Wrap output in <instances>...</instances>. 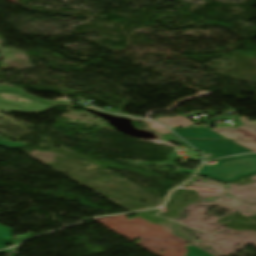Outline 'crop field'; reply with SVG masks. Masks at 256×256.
<instances>
[{
  "label": "crop field",
  "instance_id": "crop-field-1",
  "mask_svg": "<svg viewBox=\"0 0 256 256\" xmlns=\"http://www.w3.org/2000/svg\"><path fill=\"white\" fill-rule=\"evenodd\" d=\"M199 174L220 180L236 181L256 174V155H244L218 160L214 166L204 165Z\"/></svg>",
  "mask_w": 256,
  "mask_h": 256
},
{
  "label": "crop field",
  "instance_id": "crop-field-2",
  "mask_svg": "<svg viewBox=\"0 0 256 256\" xmlns=\"http://www.w3.org/2000/svg\"><path fill=\"white\" fill-rule=\"evenodd\" d=\"M186 141L194 145L199 150H203L208 153L210 152L213 153L212 158L226 157V156H230L238 153H244V152H253L233 141H214V140H186Z\"/></svg>",
  "mask_w": 256,
  "mask_h": 256
},
{
  "label": "crop field",
  "instance_id": "crop-field-3",
  "mask_svg": "<svg viewBox=\"0 0 256 256\" xmlns=\"http://www.w3.org/2000/svg\"><path fill=\"white\" fill-rule=\"evenodd\" d=\"M240 119L245 124L244 126H239L237 129L218 128L212 131L228 139L256 141V122H249L246 117Z\"/></svg>",
  "mask_w": 256,
  "mask_h": 256
},
{
  "label": "crop field",
  "instance_id": "crop-field-4",
  "mask_svg": "<svg viewBox=\"0 0 256 256\" xmlns=\"http://www.w3.org/2000/svg\"><path fill=\"white\" fill-rule=\"evenodd\" d=\"M0 94H8V93H0ZM10 95L23 97V96L17 95V94H10ZM53 108H55V107H49V106L40 104L35 101H34V103L25 104V103H17V102H13V101H8V100H4V99L0 98V109L9 111V112L40 114L43 112H47Z\"/></svg>",
  "mask_w": 256,
  "mask_h": 256
},
{
  "label": "crop field",
  "instance_id": "crop-field-5",
  "mask_svg": "<svg viewBox=\"0 0 256 256\" xmlns=\"http://www.w3.org/2000/svg\"><path fill=\"white\" fill-rule=\"evenodd\" d=\"M178 135L182 138H218V139H226L209 129L202 127V128H184V129H173Z\"/></svg>",
  "mask_w": 256,
  "mask_h": 256
},
{
  "label": "crop field",
  "instance_id": "crop-field-6",
  "mask_svg": "<svg viewBox=\"0 0 256 256\" xmlns=\"http://www.w3.org/2000/svg\"><path fill=\"white\" fill-rule=\"evenodd\" d=\"M158 120L164 124H166L167 126H184V125H192L191 121L181 115L172 118V120H170V117H164L161 119H155Z\"/></svg>",
  "mask_w": 256,
  "mask_h": 256
},
{
  "label": "crop field",
  "instance_id": "crop-field-7",
  "mask_svg": "<svg viewBox=\"0 0 256 256\" xmlns=\"http://www.w3.org/2000/svg\"><path fill=\"white\" fill-rule=\"evenodd\" d=\"M177 155H175V152L171 153L170 156H169V159L164 162V163H159V164H154V163H145V162H131V161H127V162H131V163H134V164H146V165H172L174 167H176L174 165V160H175V157ZM122 161V160H120ZM197 170H185V169H180L178 167H176V171L175 172H186V173H190V174H194L196 173Z\"/></svg>",
  "mask_w": 256,
  "mask_h": 256
},
{
  "label": "crop field",
  "instance_id": "crop-field-8",
  "mask_svg": "<svg viewBox=\"0 0 256 256\" xmlns=\"http://www.w3.org/2000/svg\"><path fill=\"white\" fill-rule=\"evenodd\" d=\"M5 89H6V91H11V92H15V93H19V94H22V95L29 96L33 99H36V100L41 101V102H43L45 104H48V105L64 106V105L69 104L68 101H45V100L37 99L35 97H32V96L22 92L21 89L14 88V87L5 86Z\"/></svg>",
  "mask_w": 256,
  "mask_h": 256
},
{
  "label": "crop field",
  "instance_id": "crop-field-9",
  "mask_svg": "<svg viewBox=\"0 0 256 256\" xmlns=\"http://www.w3.org/2000/svg\"><path fill=\"white\" fill-rule=\"evenodd\" d=\"M189 256H212L211 254L194 246L187 247Z\"/></svg>",
  "mask_w": 256,
  "mask_h": 256
},
{
  "label": "crop field",
  "instance_id": "crop-field-10",
  "mask_svg": "<svg viewBox=\"0 0 256 256\" xmlns=\"http://www.w3.org/2000/svg\"><path fill=\"white\" fill-rule=\"evenodd\" d=\"M0 146H5L9 149H19L25 146H28L27 144H18V143H13V142H8L5 140L0 139Z\"/></svg>",
  "mask_w": 256,
  "mask_h": 256
},
{
  "label": "crop field",
  "instance_id": "crop-field-11",
  "mask_svg": "<svg viewBox=\"0 0 256 256\" xmlns=\"http://www.w3.org/2000/svg\"><path fill=\"white\" fill-rule=\"evenodd\" d=\"M161 139H162V141L177 142V143L183 145L185 148H190V149H191L190 146H188V145H187L186 143H184L183 141L177 139L176 136H174V135H172V134H171V135H163V136H161Z\"/></svg>",
  "mask_w": 256,
  "mask_h": 256
},
{
  "label": "crop field",
  "instance_id": "crop-field-12",
  "mask_svg": "<svg viewBox=\"0 0 256 256\" xmlns=\"http://www.w3.org/2000/svg\"><path fill=\"white\" fill-rule=\"evenodd\" d=\"M0 239H12L11 229L0 225Z\"/></svg>",
  "mask_w": 256,
  "mask_h": 256
},
{
  "label": "crop field",
  "instance_id": "crop-field-13",
  "mask_svg": "<svg viewBox=\"0 0 256 256\" xmlns=\"http://www.w3.org/2000/svg\"><path fill=\"white\" fill-rule=\"evenodd\" d=\"M85 108H89V109H93V110H97V109H95V108H93V107H85ZM109 114V113H108ZM116 116V115H115ZM121 117V116H120ZM125 118H127V117H125ZM134 121H136L137 119H133ZM146 122H148L149 123V127H150V124H154L153 122H149V121H146ZM150 129H153V130H155V131H157V132H160V133H168V132H171L170 130H168L166 127H156V128H151L150 127Z\"/></svg>",
  "mask_w": 256,
  "mask_h": 256
},
{
  "label": "crop field",
  "instance_id": "crop-field-14",
  "mask_svg": "<svg viewBox=\"0 0 256 256\" xmlns=\"http://www.w3.org/2000/svg\"><path fill=\"white\" fill-rule=\"evenodd\" d=\"M235 142H237V143H239V144H241V145H243V146H245V147H247V148H249V149H251V150L256 152V143H253V142H242V141H235Z\"/></svg>",
  "mask_w": 256,
  "mask_h": 256
},
{
  "label": "crop field",
  "instance_id": "crop-field-15",
  "mask_svg": "<svg viewBox=\"0 0 256 256\" xmlns=\"http://www.w3.org/2000/svg\"><path fill=\"white\" fill-rule=\"evenodd\" d=\"M11 240H0V249L4 248V245L10 243Z\"/></svg>",
  "mask_w": 256,
  "mask_h": 256
},
{
  "label": "crop field",
  "instance_id": "crop-field-16",
  "mask_svg": "<svg viewBox=\"0 0 256 256\" xmlns=\"http://www.w3.org/2000/svg\"><path fill=\"white\" fill-rule=\"evenodd\" d=\"M154 123H155V122H154ZM155 125H156V126H162V125H160V124H158V123H155Z\"/></svg>",
  "mask_w": 256,
  "mask_h": 256
},
{
  "label": "crop field",
  "instance_id": "crop-field-17",
  "mask_svg": "<svg viewBox=\"0 0 256 256\" xmlns=\"http://www.w3.org/2000/svg\"><path fill=\"white\" fill-rule=\"evenodd\" d=\"M7 251H10V250H6V251H0V253H2V252H7Z\"/></svg>",
  "mask_w": 256,
  "mask_h": 256
},
{
  "label": "crop field",
  "instance_id": "crop-field-18",
  "mask_svg": "<svg viewBox=\"0 0 256 256\" xmlns=\"http://www.w3.org/2000/svg\"><path fill=\"white\" fill-rule=\"evenodd\" d=\"M0 91H2V87L0 86Z\"/></svg>",
  "mask_w": 256,
  "mask_h": 256
}]
</instances>
